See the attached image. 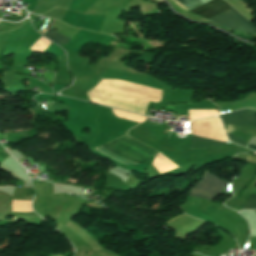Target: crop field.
I'll list each match as a JSON object with an SVG mask.
<instances>
[{
	"label": "crop field",
	"mask_w": 256,
	"mask_h": 256,
	"mask_svg": "<svg viewBox=\"0 0 256 256\" xmlns=\"http://www.w3.org/2000/svg\"><path fill=\"white\" fill-rule=\"evenodd\" d=\"M227 181L205 173L201 181L189 193L213 200L225 187Z\"/></svg>",
	"instance_id": "crop-field-3"
},
{
	"label": "crop field",
	"mask_w": 256,
	"mask_h": 256,
	"mask_svg": "<svg viewBox=\"0 0 256 256\" xmlns=\"http://www.w3.org/2000/svg\"><path fill=\"white\" fill-rule=\"evenodd\" d=\"M228 8H230V6L228 5L227 2L223 0H213L189 12H193L200 16L208 18ZM208 19L229 29H236L238 31L250 34L256 33V27L253 24H251L248 20H246L244 17H242L233 8H230L217 15H214Z\"/></svg>",
	"instance_id": "crop-field-1"
},
{
	"label": "crop field",
	"mask_w": 256,
	"mask_h": 256,
	"mask_svg": "<svg viewBox=\"0 0 256 256\" xmlns=\"http://www.w3.org/2000/svg\"><path fill=\"white\" fill-rule=\"evenodd\" d=\"M220 117L224 124L256 127V114L248 109L231 112Z\"/></svg>",
	"instance_id": "crop-field-4"
},
{
	"label": "crop field",
	"mask_w": 256,
	"mask_h": 256,
	"mask_svg": "<svg viewBox=\"0 0 256 256\" xmlns=\"http://www.w3.org/2000/svg\"><path fill=\"white\" fill-rule=\"evenodd\" d=\"M248 148L253 149V150H256V145L249 144V145H248Z\"/></svg>",
	"instance_id": "crop-field-10"
},
{
	"label": "crop field",
	"mask_w": 256,
	"mask_h": 256,
	"mask_svg": "<svg viewBox=\"0 0 256 256\" xmlns=\"http://www.w3.org/2000/svg\"><path fill=\"white\" fill-rule=\"evenodd\" d=\"M242 209H256V190L253 191L249 199L243 205Z\"/></svg>",
	"instance_id": "crop-field-8"
},
{
	"label": "crop field",
	"mask_w": 256,
	"mask_h": 256,
	"mask_svg": "<svg viewBox=\"0 0 256 256\" xmlns=\"http://www.w3.org/2000/svg\"><path fill=\"white\" fill-rule=\"evenodd\" d=\"M101 146L135 164L151 161L156 152L130 139L126 134H123Z\"/></svg>",
	"instance_id": "crop-field-2"
},
{
	"label": "crop field",
	"mask_w": 256,
	"mask_h": 256,
	"mask_svg": "<svg viewBox=\"0 0 256 256\" xmlns=\"http://www.w3.org/2000/svg\"><path fill=\"white\" fill-rule=\"evenodd\" d=\"M227 134H228L229 140L246 147L247 141H245V140H243V139H241V138H239L235 135H232V134H229V133H227Z\"/></svg>",
	"instance_id": "crop-field-9"
},
{
	"label": "crop field",
	"mask_w": 256,
	"mask_h": 256,
	"mask_svg": "<svg viewBox=\"0 0 256 256\" xmlns=\"http://www.w3.org/2000/svg\"><path fill=\"white\" fill-rule=\"evenodd\" d=\"M171 1L174 2L177 6H179L182 10L187 12L188 11L187 9L190 10L198 5L203 4L202 2L206 3L210 0H201L202 2L200 0H176L179 3H181L183 6H185L187 9L183 7L181 4H179L178 2H176L175 0H171Z\"/></svg>",
	"instance_id": "crop-field-7"
},
{
	"label": "crop field",
	"mask_w": 256,
	"mask_h": 256,
	"mask_svg": "<svg viewBox=\"0 0 256 256\" xmlns=\"http://www.w3.org/2000/svg\"><path fill=\"white\" fill-rule=\"evenodd\" d=\"M190 134H192L191 122H190ZM223 145H227V144L192 135L191 149L210 148V147H217V146H223Z\"/></svg>",
	"instance_id": "crop-field-5"
},
{
	"label": "crop field",
	"mask_w": 256,
	"mask_h": 256,
	"mask_svg": "<svg viewBox=\"0 0 256 256\" xmlns=\"http://www.w3.org/2000/svg\"><path fill=\"white\" fill-rule=\"evenodd\" d=\"M44 36L48 37L49 39H51L52 41L56 42L59 45L60 44L66 45L71 40V38L61 33H58L50 28Z\"/></svg>",
	"instance_id": "crop-field-6"
}]
</instances>
